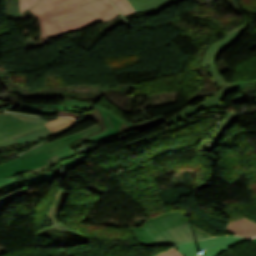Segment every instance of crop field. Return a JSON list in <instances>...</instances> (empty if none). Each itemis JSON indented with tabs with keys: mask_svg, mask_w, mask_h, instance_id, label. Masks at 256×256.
Returning a JSON list of instances; mask_svg holds the SVG:
<instances>
[{
	"mask_svg": "<svg viewBox=\"0 0 256 256\" xmlns=\"http://www.w3.org/2000/svg\"><path fill=\"white\" fill-rule=\"evenodd\" d=\"M16 179H17L16 176L15 177H11V178H2V179H0V185L4 184V183L11 182V181L16 180Z\"/></svg>",
	"mask_w": 256,
	"mask_h": 256,
	"instance_id": "obj_29",
	"label": "crop field"
},
{
	"mask_svg": "<svg viewBox=\"0 0 256 256\" xmlns=\"http://www.w3.org/2000/svg\"><path fill=\"white\" fill-rule=\"evenodd\" d=\"M43 150H45V148L41 145V146H39V147L21 155V156H18L17 158L20 159V158H23V157L31 156V155H34V154H36L38 152H41Z\"/></svg>",
	"mask_w": 256,
	"mask_h": 256,
	"instance_id": "obj_27",
	"label": "crop field"
},
{
	"mask_svg": "<svg viewBox=\"0 0 256 256\" xmlns=\"http://www.w3.org/2000/svg\"><path fill=\"white\" fill-rule=\"evenodd\" d=\"M101 127L98 126L97 124L89 129H86L80 133H77V134H73V135H70L68 137H65L63 139H59V140H56L52 143H49V144H46L44 145V147L46 148L47 152H52L64 145H67V144H70V143H74L76 140L78 139H81V138H84L86 136H89V135H92V134H95L97 133L98 130H100Z\"/></svg>",
	"mask_w": 256,
	"mask_h": 256,
	"instance_id": "obj_14",
	"label": "crop field"
},
{
	"mask_svg": "<svg viewBox=\"0 0 256 256\" xmlns=\"http://www.w3.org/2000/svg\"><path fill=\"white\" fill-rule=\"evenodd\" d=\"M55 154H57V156L60 157L62 160L70 156L77 155V153L69 145L62 147L52 153H49L50 157Z\"/></svg>",
	"mask_w": 256,
	"mask_h": 256,
	"instance_id": "obj_22",
	"label": "crop field"
},
{
	"mask_svg": "<svg viewBox=\"0 0 256 256\" xmlns=\"http://www.w3.org/2000/svg\"><path fill=\"white\" fill-rule=\"evenodd\" d=\"M1 192H3V191H1ZM1 192H0V193H1Z\"/></svg>",
	"mask_w": 256,
	"mask_h": 256,
	"instance_id": "obj_33",
	"label": "crop field"
},
{
	"mask_svg": "<svg viewBox=\"0 0 256 256\" xmlns=\"http://www.w3.org/2000/svg\"><path fill=\"white\" fill-rule=\"evenodd\" d=\"M48 158H50L49 155L44 151L28 158H23L20 160L14 159L9 162L1 163L0 178L15 176V174L24 170L33 169L44 165L47 163L46 160Z\"/></svg>",
	"mask_w": 256,
	"mask_h": 256,
	"instance_id": "obj_7",
	"label": "crop field"
},
{
	"mask_svg": "<svg viewBox=\"0 0 256 256\" xmlns=\"http://www.w3.org/2000/svg\"><path fill=\"white\" fill-rule=\"evenodd\" d=\"M62 160L59 159L56 155L51 157L49 160H47L48 164L38 167L36 169L31 170L30 173H26L25 177L22 178L21 180H16L8 184H4L0 186V190H3L4 192L13 188H17L23 185H31L36 182L42 181L44 179L54 177L55 175L52 174V172H47L50 170L52 167L57 165L59 162Z\"/></svg>",
	"mask_w": 256,
	"mask_h": 256,
	"instance_id": "obj_8",
	"label": "crop field"
},
{
	"mask_svg": "<svg viewBox=\"0 0 256 256\" xmlns=\"http://www.w3.org/2000/svg\"><path fill=\"white\" fill-rule=\"evenodd\" d=\"M21 120L24 121H29V122H34V123H44L46 122L45 120L39 119L37 117H32V116H27V115H21V114H14V113H9Z\"/></svg>",
	"mask_w": 256,
	"mask_h": 256,
	"instance_id": "obj_25",
	"label": "crop field"
},
{
	"mask_svg": "<svg viewBox=\"0 0 256 256\" xmlns=\"http://www.w3.org/2000/svg\"><path fill=\"white\" fill-rule=\"evenodd\" d=\"M252 241L255 243V245H256V239H252Z\"/></svg>",
	"mask_w": 256,
	"mask_h": 256,
	"instance_id": "obj_31",
	"label": "crop field"
},
{
	"mask_svg": "<svg viewBox=\"0 0 256 256\" xmlns=\"http://www.w3.org/2000/svg\"><path fill=\"white\" fill-rule=\"evenodd\" d=\"M201 109H202V107H199V106H187L184 109H182L180 112L175 114L174 116L168 118V120L165 121V123L168 126L175 125L176 123H179V122L183 121L184 119L188 118L189 116L197 113Z\"/></svg>",
	"mask_w": 256,
	"mask_h": 256,
	"instance_id": "obj_16",
	"label": "crop field"
},
{
	"mask_svg": "<svg viewBox=\"0 0 256 256\" xmlns=\"http://www.w3.org/2000/svg\"><path fill=\"white\" fill-rule=\"evenodd\" d=\"M73 125L74 124L69 125V126L63 128V129L59 130V131L67 129V128L73 126ZM59 131H56V132H59ZM56 132H53V133H56ZM53 133H51L47 128H45V129L39 130L37 132L27 134V135L22 136V137H17V138H15V141H17L18 144H22V143H26V142H29V141L40 139L42 137H45V136L53 134Z\"/></svg>",
	"mask_w": 256,
	"mask_h": 256,
	"instance_id": "obj_17",
	"label": "crop field"
},
{
	"mask_svg": "<svg viewBox=\"0 0 256 256\" xmlns=\"http://www.w3.org/2000/svg\"><path fill=\"white\" fill-rule=\"evenodd\" d=\"M83 6L104 23L120 14L113 5L105 0H93Z\"/></svg>",
	"mask_w": 256,
	"mask_h": 256,
	"instance_id": "obj_10",
	"label": "crop field"
},
{
	"mask_svg": "<svg viewBox=\"0 0 256 256\" xmlns=\"http://www.w3.org/2000/svg\"><path fill=\"white\" fill-rule=\"evenodd\" d=\"M224 231L235 235L254 237L256 236V223L243 218L229 222Z\"/></svg>",
	"mask_w": 256,
	"mask_h": 256,
	"instance_id": "obj_12",
	"label": "crop field"
},
{
	"mask_svg": "<svg viewBox=\"0 0 256 256\" xmlns=\"http://www.w3.org/2000/svg\"><path fill=\"white\" fill-rule=\"evenodd\" d=\"M69 194H70V191H65V190H59L57 192V194L52 202L51 208L47 214V218L53 226V227H51V229H53L55 231H61V232H70L72 234H76L78 236L85 237V236L79 235L78 233H76L72 230H69V229L63 227L62 224H59L57 214L63 207Z\"/></svg>",
	"mask_w": 256,
	"mask_h": 256,
	"instance_id": "obj_9",
	"label": "crop field"
},
{
	"mask_svg": "<svg viewBox=\"0 0 256 256\" xmlns=\"http://www.w3.org/2000/svg\"><path fill=\"white\" fill-rule=\"evenodd\" d=\"M248 24L249 22L246 19L245 23L225 32L226 36L213 43L205 53L201 66L205 67L217 88H221L226 83V80L216 67V59L220 53L234 44L243 35Z\"/></svg>",
	"mask_w": 256,
	"mask_h": 256,
	"instance_id": "obj_3",
	"label": "crop field"
},
{
	"mask_svg": "<svg viewBox=\"0 0 256 256\" xmlns=\"http://www.w3.org/2000/svg\"><path fill=\"white\" fill-rule=\"evenodd\" d=\"M45 128L44 124L20 121L7 113H0V147L15 144L13 138Z\"/></svg>",
	"mask_w": 256,
	"mask_h": 256,
	"instance_id": "obj_5",
	"label": "crop field"
},
{
	"mask_svg": "<svg viewBox=\"0 0 256 256\" xmlns=\"http://www.w3.org/2000/svg\"><path fill=\"white\" fill-rule=\"evenodd\" d=\"M238 89H240V87L237 82L226 83L224 87L221 88L217 93L211 95V97H209L208 99H206L205 101L197 105L202 107H207V108H214V109L224 108L225 106L222 102L224 97L235 92Z\"/></svg>",
	"mask_w": 256,
	"mask_h": 256,
	"instance_id": "obj_11",
	"label": "crop field"
},
{
	"mask_svg": "<svg viewBox=\"0 0 256 256\" xmlns=\"http://www.w3.org/2000/svg\"><path fill=\"white\" fill-rule=\"evenodd\" d=\"M96 108L101 112L106 128L103 132L97 133L95 135L92 134L93 136L85 138L86 142L93 144L97 141L112 137L122 132L132 130V124L130 122L118 118L113 112L106 111L98 106Z\"/></svg>",
	"mask_w": 256,
	"mask_h": 256,
	"instance_id": "obj_6",
	"label": "crop field"
},
{
	"mask_svg": "<svg viewBox=\"0 0 256 256\" xmlns=\"http://www.w3.org/2000/svg\"><path fill=\"white\" fill-rule=\"evenodd\" d=\"M62 104L72 106V107H77L85 111H89L90 109L93 108V106L87 102H80V101H74V100H68V99H64Z\"/></svg>",
	"mask_w": 256,
	"mask_h": 256,
	"instance_id": "obj_23",
	"label": "crop field"
},
{
	"mask_svg": "<svg viewBox=\"0 0 256 256\" xmlns=\"http://www.w3.org/2000/svg\"><path fill=\"white\" fill-rule=\"evenodd\" d=\"M7 17H14L19 15L18 0H11L9 5L5 8Z\"/></svg>",
	"mask_w": 256,
	"mask_h": 256,
	"instance_id": "obj_24",
	"label": "crop field"
},
{
	"mask_svg": "<svg viewBox=\"0 0 256 256\" xmlns=\"http://www.w3.org/2000/svg\"><path fill=\"white\" fill-rule=\"evenodd\" d=\"M97 22H100L99 19H97L96 17L90 19V20H86L82 23H79V24H76V25H72V26H67L65 28H61L60 31L63 34L65 33H68V32H71V31H74V30H77V29H80V28H83V27H86L88 25H91V24H94V23H97Z\"/></svg>",
	"mask_w": 256,
	"mask_h": 256,
	"instance_id": "obj_20",
	"label": "crop field"
},
{
	"mask_svg": "<svg viewBox=\"0 0 256 256\" xmlns=\"http://www.w3.org/2000/svg\"><path fill=\"white\" fill-rule=\"evenodd\" d=\"M123 16L136 13L127 0H111Z\"/></svg>",
	"mask_w": 256,
	"mask_h": 256,
	"instance_id": "obj_19",
	"label": "crop field"
},
{
	"mask_svg": "<svg viewBox=\"0 0 256 256\" xmlns=\"http://www.w3.org/2000/svg\"><path fill=\"white\" fill-rule=\"evenodd\" d=\"M194 1H196L198 3L199 0H194Z\"/></svg>",
	"mask_w": 256,
	"mask_h": 256,
	"instance_id": "obj_32",
	"label": "crop field"
},
{
	"mask_svg": "<svg viewBox=\"0 0 256 256\" xmlns=\"http://www.w3.org/2000/svg\"><path fill=\"white\" fill-rule=\"evenodd\" d=\"M157 256H182V255L174 247V248L167 250Z\"/></svg>",
	"mask_w": 256,
	"mask_h": 256,
	"instance_id": "obj_28",
	"label": "crop field"
},
{
	"mask_svg": "<svg viewBox=\"0 0 256 256\" xmlns=\"http://www.w3.org/2000/svg\"><path fill=\"white\" fill-rule=\"evenodd\" d=\"M21 110L39 113L44 115H56L61 109L71 110L73 112H84L77 108H72L64 105H33V104H24L20 103L19 108Z\"/></svg>",
	"mask_w": 256,
	"mask_h": 256,
	"instance_id": "obj_13",
	"label": "crop field"
},
{
	"mask_svg": "<svg viewBox=\"0 0 256 256\" xmlns=\"http://www.w3.org/2000/svg\"><path fill=\"white\" fill-rule=\"evenodd\" d=\"M243 237H218L203 241L188 242L175 246L183 256H201L197 251H202L203 256H217L226 248L246 240Z\"/></svg>",
	"mask_w": 256,
	"mask_h": 256,
	"instance_id": "obj_4",
	"label": "crop field"
},
{
	"mask_svg": "<svg viewBox=\"0 0 256 256\" xmlns=\"http://www.w3.org/2000/svg\"><path fill=\"white\" fill-rule=\"evenodd\" d=\"M238 83L240 84V86L242 88V87L247 86V85L256 84V81H246V82H238Z\"/></svg>",
	"mask_w": 256,
	"mask_h": 256,
	"instance_id": "obj_30",
	"label": "crop field"
},
{
	"mask_svg": "<svg viewBox=\"0 0 256 256\" xmlns=\"http://www.w3.org/2000/svg\"><path fill=\"white\" fill-rule=\"evenodd\" d=\"M39 0H19L20 4V15L23 11H25L27 8L33 7Z\"/></svg>",
	"mask_w": 256,
	"mask_h": 256,
	"instance_id": "obj_26",
	"label": "crop field"
},
{
	"mask_svg": "<svg viewBox=\"0 0 256 256\" xmlns=\"http://www.w3.org/2000/svg\"><path fill=\"white\" fill-rule=\"evenodd\" d=\"M62 1L64 0H41L39 3H37V5L41 8V10L44 13L50 10L60 8V6L57 3Z\"/></svg>",
	"mask_w": 256,
	"mask_h": 256,
	"instance_id": "obj_21",
	"label": "crop field"
},
{
	"mask_svg": "<svg viewBox=\"0 0 256 256\" xmlns=\"http://www.w3.org/2000/svg\"><path fill=\"white\" fill-rule=\"evenodd\" d=\"M74 122L75 120L72 118H56L45 123V125L51 132H53Z\"/></svg>",
	"mask_w": 256,
	"mask_h": 256,
	"instance_id": "obj_18",
	"label": "crop field"
},
{
	"mask_svg": "<svg viewBox=\"0 0 256 256\" xmlns=\"http://www.w3.org/2000/svg\"><path fill=\"white\" fill-rule=\"evenodd\" d=\"M139 244L144 246L175 244L213 237L196 227L181 211L159 215L143 227H129Z\"/></svg>",
	"mask_w": 256,
	"mask_h": 256,
	"instance_id": "obj_1",
	"label": "crop field"
},
{
	"mask_svg": "<svg viewBox=\"0 0 256 256\" xmlns=\"http://www.w3.org/2000/svg\"><path fill=\"white\" fill-rule=\"evenodd\" d=\"M88 1L90 0H67L59 3L62 8L45 14L42 13L37 5L30 9L40 19L42 28L41 37L47 36L50 40L54 37L61 36L58 28L94 17L81 6ZM107 1L109 2V0Z\"/></svg>",
	"mask_w": 256,
	"mask_h": 256,
	"instance_id": "obj_2",
	"label": "crop field"
},
{
	"mask_svg": "<svg viewBox=\"0 0 256 256\" xmlns=\"http://www.w3.org/2000/svg\"><path fill=\"white\" fill-rule=\"evenodd\" d=\"M166 0H129L137 13L158 9Z\"/></svg>",
	"mask_w": 256,
	"mask_h": 256,
	"instance_id": "obj_15",
	"label": "crop field"
}]
</instances>
